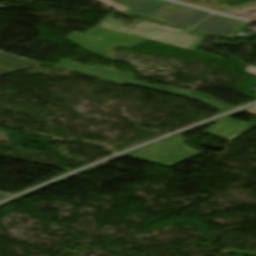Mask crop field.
Returning <instances> with one entry per match:
<instances>
[{"label":"crop field","mask_w":256,"mask_h":256,"mask_svg":"<svg viewBox=\"0 0 256 256\" xmlns=\"http://www.w3.org/2000/svg\"><path fill=\"white\" fill-rule=\"evenodd\" d=\"M54 66L64 68V69H67L76 73H80L86 76L120 84V85L130 84V85L148 88L152 90L180 95L184 97H187L191 93L190 91H186V90H182L174 87L164 88V87H160V86L149 84L142 81L137 82L133 80V77L135 75L124 72V71H120L117 69L108 70L97 65L90 67V66L74 63L64 58H62L60 61L54 64Z\"/></svg>","instance_id":"crop-field-5"},{"label":"crop field","mask_w":256,"mask_h":256,"mask_svg":"<svg viewBox=\"0 0 256 256\" xmlns=\"http://www.w3.org/2000/svg\"><path fill=\"white\" fill-rule=\"evenodd\" d=\"M252 97L256 99V92L254 93V95Z\"/></svg>","instance_id":"crop-field-15"},{"label":"crop field","mask_w":256,"mask_h":256,"mask_svg":"<svg viewBox=\"0 0 256 256\" xmlns=\"http://www.w3.org/2000/svg\"><path fill=\"white\" fill-rule=\"evenodd\" d=\"M98 27L158 41L191 51H197L206 36L194 31L167 27L162 24L142 19L134 29L127 28L116 19L105 18Z\"/></svg>","instance_id":"crop-field-2"},{"label":"crop field","mask_w":256,"mask_h":256,"mask_svg":"<svg viewBox=\"0 0 256 256\" xmlns=\"http://www.w3.org/2000/svg\"><path fill=\"white\" fill-rule=\"evenodd\" d=\"M129 7L125 12L144 15L175 26L196 28L204 33L225 36L235 28L244 29L240 21L200 9L164 0H112Z\"/></svg>","instance_id":"crop-field-1"},{"label":"crop field","mask_w":256,"mask_h":256,"mask_svg":"<svg viewBox=\"0 0 256 256\" xmlns=\"http://www.w3.org/2000/svg\"><path fill=\"white\" fill-rule=\"evenodd\" d=\"M256 107V106H255Z\"/></svg>","instance_id":"crop-field-16"},{"label":"crop field","mask_w":256,"mask_h":256,"mask_svg":"<svg viewBox=\"0 0 256 256\" xmlns=\"http://www.w3.org/2000/svg\"><path fill=\"white\" fill-rule=\"evenodd\" d=\"M223 252H226V253H234V254H242V255H250V256H256V253L241 252V251L223 250Z\"/></svg>","instance_id":"crop-field-11"},{"label":"crop field","mask_w":256,"mask_h":256,"mask_svg":"<svg viewBox=\"0 0 256 256\" xmlns=\"http://www.w3.org/2000/svg\"><path fill=\"white\" fill-rule=\"evenodd\" d=\"M188 98L198 100V101H200L202 103H205L207 105H210V106H212V107H214V108H216V109H218L220 111H223L225 109H228V108L232 107V106H229L227 104L221 103V102H219V101H217V100H215V99H213V98H211V97H209V96H207L205 94H201V93L192 92L188 96Z\"/></svg>","instance_id":"crop-field-8"},{"label":"crop field","mask_w":256,"mask_h":256,"mask_svg":"<svg viewBox=\"0 0 256 256\" xmlns=\"http://www.w3.org/2000/svg\"><path fill=\"white\" fill-rule=\"evenodd\" d=\"M253 126L254 125L252 124L225 118L214 126L203 131V133L223 138L232 142L243 133L251 129Z\"/></svg>","instance_id":"crop-field-6"},{"label":"crop field","mask_w":256,"mask_h":256,"mask_svg":"<svg viewBox=\"0 0 256 256\" xmlns=\"http://www.w3.org/2000/svg\"><path fill=\"white\" fill-rule=\"evenodd\" d=\"M88 1H101L102 3L106 4L107 7H110V8H113V9H117V10H120V11H124L125 9H127V7L125 6H122L120 4H117V3H114L110 0H88Z\"/></svg>","instance_id":"crop-field-10"},{"label":"crop field","mask_w":256,"mask_h":256,"mask_svg":"<svg viewBox=\"0 0 256 256\" xmlns=\"http://www.w3.org/2000/svg\"><path fill=\"white\" fill-rule=\"evenodd\" d=\"M247 111L250 112V113L256 114V108H254V109H249V110H247Z\"/></svg>","instance_id":"crop-field-13"},{"label":"crop field","mask_w":256,"mask_h":256,"mask_svg":"<svg viewBox=\"0 0 256 256\" xmlns=\"http://www.w3.org/2000/svg\"><path fill=\"white\" fill-rule=\"evenodd\" d=\"M9 194H4V193H0V199L3 198V197H6L8 196Z\"/></svg>","instance_id":"crop-field-14"},{"label":"crop field","mask_w":256,"mask_h":256,"mask_svg":"<svg viewBox=\"0 0 256 256\" xmlns=\"http://www.w3.org/2000/svg\"><path fill=\"white\" fill-rule=\"evenodd\" d=\"M225 14L231 15V16H236V17H241V18L256 20V7L240 9V10L225 13Z\"/></svg>","instance_id":"crop-field-9"},{"label":"crop field","mask_w":256,"mask_h":256,"mask_svg":"<svg viewBox=\"0 0 256 256\" xmlns=\"http://www.w3.org/2000/svg\"><path fill=\"white\" fill-rule=\"evenodd\" d=\"M35 63L37 61L0 52V77L8 73L29 69Z\"/></svg>","instance_id":"crop-field-7"},{"label":"crop field","mask_w":256,"mask_h":256,"mask_svg":"<svg viewBox=\"0 0 256 256\" xmlns=\"http://www.w3.org/2000/svg\"><path fill=\"white\" fill-rule=\"evenodd\" d=\"M246 71L250 72V73H253V74H256V68L255 67L248 66Z\"/></svg>","instance_id":"crop-field-12"},{"label":"crop field","mask_w":256,"mask_h":256,"mask_svg":"<svg viewBox=\"0 0 256 256\" xmlns=\"http://www.w3.org/2000/svg\"><path fill=\"white\" fill-rule=\"evenodd\" d=\"M185 141H187V139L176 135L140 148L124 156L161 166L171 167L201 154L200 152L182 144Z\"/></svg>","instance_id":"crop-field-4"},{"label":"crop field","mask_w":256,"mask_h":256,"mask_svg":"<svg viewBox=\"0 0 256 256\" xmlns=\"http://www.w3.org/2000/svg\"><path fill=\"white\" fill-rule=\"evenodd\" d=\"M65 40L99 57L115 62L117 59L113 56L112 48L118 45L131 47L146 39L95 27L82 34L74 31Z\"/></svg>","instance_id":"crop-field-3"}]
</instances>
